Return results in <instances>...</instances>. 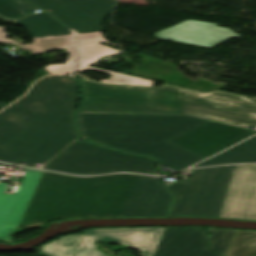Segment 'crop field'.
Masks as SVG:
<instances>
[{
	"label": "crop field",
	"mask_w": 256,
	"mask_h": 256,
	"mask_svg": "<svg viewBox=\"0 0 256 256\" xmlns=\"http://www.w3.org/2000/svg\"><path fill=\"white\" fill-rule=\"evenodd\" d=\"M75 48L76 47L66 49V51L70 54L66 61V64L49 65L45 69H47L51 73H57V74H67V73L77 72L76 60L78 58V54L75 51Z\"/></svg>",
	"instance_id": "24"
},
{
	"label": "crop field",
	"mask_w": 256,
	"mask_h": 256,
	"mask_svg": "<svg viewBox=\"0 0 256 256\" xmlns=\"http://www.w3.org/2000/svg\"><path fill=\"white\" fill-rule=\"evenodd\" d=\"M80 87L79 112L189 114L238 127L256 126V98L219 91L203 94L168 84L126 89L81 79Z\"/></svg>",
	"instance_id": "2"
},
{
	"label": "crop field",
	"mask_w": 256,
	"mask_h": 256,
	"mask_svg": "<svg viewBox=\"0 0 256 256\" xmlns=\"http://www.w3.org/2000/svg\"><path fill=\"white\" fill-rule=\"evenodd\" d=\"M81 136L88 141L155 158L175 171L204 158L168 143L210 120L189 115L76 113Z\"/></svg>",
	"instance_id": "3"
},
{
	"label": "crop field",
	"mask_w": 256,
	"mask_h": 256,
	"mask_svg": "<svg viewBox=\"0 0 256 256\" xmlns=\"http://www.w3.org/2000/svg\"><path fill=\"white\" fill-rule=\"evenodd\" d=\"M45 78H58L61 82H69V83L77 84L74 80L65 76H47Z\"/></svg>",
	"instance_id": "26"
},
{
	"label": "crop field",
	"mask_w": 256,
	"mask_h": 256,
	"mask_svg": "<svg viewBox=\"0 0 256 256\" xmlns=\"http://www.w3.org/2000/svg\"><path fill=\"white\" fill-rule=\"evenodd\" d=\"M208 231L212 233L209 249L225 255L237 230L210 228Z\"/></svg>",
	"instance_id": "22"
},
{
	"label": "crop field",
	"mask_w": 256,
	"mask_h": 256,
	"mask_svg": "<svg viewBox=\"0 0 256 256\" xmlns=\"http://www.w3.org/2000/svg\"><path fill=\"white\" fill-rule=\"evenodd\" d=\"M160 178L141 176L122 217H165L172 198Z\"/></svg>",
	"instance_id": "13"
},
{
	"label": "crop field",
	"mask_w": 256,
	"mask_h": 256,
	"mask_svg": "<svg viewBox=\"0 0 256 256\" xmlns=\"http://www.w3.org/2000/svg\"><path fill=\"white\" fill-rule=\"evenodd\" d=\"M37 9L25 0H0V17L8 20L22 18Z\"/></svg>",
	"instance_id": "20"
},
{
	"label": "crop field",
	"mask_w": 256,
	"mask_h": 256,
	"mask_svg": "<svg viewBox=\"0 0 256 256\" xmlns=\"http://www.w3.org/2000/svg\"><path fill=\"white\" fill-rule=\"evenodd\" d=\"M77 39H78V45L90 43V42L110 44L103 38L102 33L77 35Z\"/></svg>",
	"instance_id": "25"
},
{
	"label": "crop field",
	"mask_w": 256,
	"mask_h": 256,
	"mask_svg": "<svg viewBox=\"0 0 256 256\" xmlns=\"http://www.w3.org/2000/svg\"><path fill=\"white\" fill-rule=\"evenodd\" d=\"M78 85L42 79L0 113V161L45 164L77 139L73 112Z\"/></svg>",
	"instance_id": "1"
},
{
	"label": "crop field",
	"mask_w": 256,
	"mask_h": 256,
	"mask_svg": "<svg viewBox=\"0 0 256 256\" xmlns=\"http://www.w3.org/2000/svg\"><path fill=\"white\" fill-rule=\"evenodd\" d=\"M244 162H256V136L194 167Z\"/></svg>",
	"instance_id": "16"
},
{
	"label": "crop field",
	"mask_w": 256,
	"mask_h": 256,
	"mask_svg": "<svg viewBox=\"0 0 256 256\" xmlns=\"http://www.w3.org/2000/svg\"><path fill=\"white\" fill-rule=\"evenodd\" d=\"M66 24L76 34L103 31L102 19L113 9L114 0H29Z\"/></svg>",
	"instance_id": "7"
},
{
	"label": "crop field",
	"mask_w": 256,
	"mask_h": 256,
	"mask_svg": "<svg viewBox=\"0 0 256 256\" xmlns=\"http://www.w3.org/2000/svg\"><path fill=\"white\" fill-rule=\"evenodd\" d=\"M82 236H64L59 240L43 246L40 254L44 256H74Z\"/></svg>",
	"instance_id": "19"
},
{
	"label": "crop field",
	"mask_w": 256,
	"mask_h": 256,
	"mask_svg": "<svg viewBox=\"0 0 256 256\" xmlns=\"http://www.w3.org/2000/svg\"><path fill=\"white\" fill-rule=\"evenodd\" d=\"M226 256H256V231L238 230Z\"/></svg>",
	"instance_id": "18"
},
{
	"label": "crop field",
	"mask_w": 256,
	"mask_h": 256,
	"mask_svg": "<svg viewBox=\"0 0 256 256\" xmlns=\"http://www.w3.org/2000/svg\"><path fill=\"white\" fill-rule=\"evenodd\" d=\"M235 166L192 170L188 182L168 186L175 196L169 217H218Z\"/></svg>",
	"instance_id": "5"
},
{
	"label": "crop field",
	"mask_w": 256,
	"mask_h": 256,
	"mask_svg": "<svg viewBox=\"0 0 256 256\" xmlns=\"http://www.w3.org/2000/svg\"><path fill=\"white\" fill-rule=\"evenodd\" d=\"M21 170L27 171V173L17 194H4L8 184L0 183V239H4L7 242L12 241V236L8 234L15 232L44 172L26 168Z\"/></svg>",
	"instance_id": "11"
},
{
	"label": "crop field",
	"mask_w": 256,
	"mask_h": 256,
	"mask_svg": "<svg viewBox=\"0 0 256 256\" xmlns=\"http://www.w3.org/2000/svg\"><path fill=\"white\" fill-rule=\"evenodd\" d=\"M156 39L175 43L212 48L236 35L232 30L217 27V24L187 20L154 34Z\"/></svg>",
	"instance_id": "12"
},
{
	"label": "crop field",
	"mask_w": 256,
	"mask_h": 256,
	"mask_svg": "<svg viewBox=\"0 0 256 256\" xmlns=\"http://www.w3.org/2000/svg\"><path fill=\"white\" fill-rule=\"evenodd\" d=\"M164 228L94 229L84 233L75 256H105L95 250L98 241L120 242L153 256Z\"/></svg>",
	"instance_id": "8"
},
{
	"label": "crop field",
	"mask_w": 256,
	"mask_h": 256,
	"mask_svg": "<svg viewBox=\"0 0 256 256\" xmlns=\"http://www.w3.org/2000/svg\"><path fill=\"white\" fill-rule=\"evenodd\" d=\"M5 30H6L5 27H0V43L17 45V46H20L21 49L23 50H30L31 53L33 54L44 53L46 51L65 48V47L73 46L76 44L75 37L73 35V36H64V37L34 39V42L32 45L22 46L18 42H15L12 40H6V36L9 34L5 33ZM16 39L19 40L18 38Z\"/></svg>",
	"instance_id": "17"
},
{
	"label": "crop field",
	"mask_w": 256,
	"mask_h": 256,
	"mask_svg": "<svg viewBox=\"0 0 256 256\" xmlns=\"http://www.w3.org/2000/svg\"><path fill=\"white\" fill-rule=\"evenodd\" d=\"M85 71H99V72H103V73L112 75L110 80H102L101 81L102 83H107V84L152 86L154 83L152 81L139 79V78H135V77L119 74V73H114V72H110V71H106V70H101V69H97V68H92V67H89Z\"/></svg>",
	"instance_id": "23"
},
{
	"label": "crop field",
	"mask_w": 256,
	"mask_h": 256,
	"mask_svg": "<svg viewBox=\"0 0 256 256\" xmlns=\"http://www.w3.org/2000/svg\"><path fill=\"white\" fill-rule=\"evenodd\" d=\"M78 50L80 53V58L78 60L80 71L104 55L118 53V50H113L109 47L95 43L80 45L78 46Z\"/></svg>",
	"instance_id": "21"
},
{
	"label": "crop field",
	"mask_w": 256,
	"mask_h": 256,
	"mask_svg": "<svg viewBox=\"0 0 256 256\" xmlns=\"http://www.w3.org/2000/svg\"><path fill=\"white\" fill-rule=\"evenodd\" d=\"M219 217L256 220V164L236 166Z\"/></svg>",
	"instance_id": "10"
},
{
	"label": "crop field",
	"mask_w": 256,
	"mask_h": 256,
	"mask_svg": "<svg viewBox=\"0 0 256 256\" xmlns=\"http://www.w3.org/2000/svg\"><path fill=\"white\" fill-rule=\"evenodd\" d=\"M29 29L33 38L72 35L73 32L60 24L47 13L34 14L32 16L15 21Z\"/></svg>",
	"instance_id": "15"
},
{
	"label": "crop field",
	"mask_w": 256,
	"mask_h": 256,
	"mask_svg": "<svg viewBox=\"0 0 256 256\" xmlns=\"http://www.w3.org/2000/svg\"><path fill=\"white\" fill-rule=\"evenodd\" d=\"M139 177L82 178L44 172L18 228H37L66 218L121 217Z\"/></svg>",
	"instance_id": "4"
},
{
	"label": "crop field",
	"mask_w": 256,
	"mask_h": 256,
	"mask_svg": "<svg viewBox=\"0 0 256 256\" xmlns=\"http://www.w3.org/2000/svg\"><path fill=\"white\" fill-rule=\"evenodd\" d=\"M6 106H7L6 104H3V103L0 102V110H1L2 108L6 107Z\"/></svg>",
	"instance_id": "27"
},
{
	"label": "crop field",
	"mask_w": 256,
	"mask_h": 256,
	"mask_svg": "<svg viewBox=\"0 0 256 256\" xmlns=\"http://www.w3.org/2000/svg\"><path fill=\"white\" fill-rule=\"evenodd\" d=\"M43 169L75 175H94L117 171L154 175L155 163L148 158L132 156L90 143L74 141L47 163Z\"/></svg>",
	"instance_id": "6"
},
{
	"label": "crop field",
	"mask_w": 256,
	"mask_h": 256,
	"mask_svg": "<svg viewBox=\"0 0 256 256\" xmlns=\"http://www.w3.org/2000/svg\"><path fill=\"white\" fill-rule=\"evenodd\" d=\"M253 134L248 129L212 121L169 142L207 158Z\"/></svg>",
	"instance_id": "9"
},
{
	"label": "crop field",
	"mask_w": 256,
	"mask_h": 256,
	"mask_svg": "<svg viewBox=\"0 0 256 256\" xmlns=\"http://www.w3.org/2000/svg\"><path fill=\"white\" fill-rule=\"evenodd\" d=\"M199 227H168L154 256H219L205 249L207 235Z\"/></svg>",
	"instance_id": "14"
},
{
	"label": "crop field",
	"mask_w": 256,
	"mask_h": 256,
	"mask_svg": "<svg viewBox=\"0 0 256 256\" xmlns=\"http://www.w3.org/2000/svg\"><path fill=\"white\" fill-rule=\"evenodd\" d=\"M127 88H132L133 86H126Z\"/></svg>",
	"instance_id": "28"
}]
</instances>
